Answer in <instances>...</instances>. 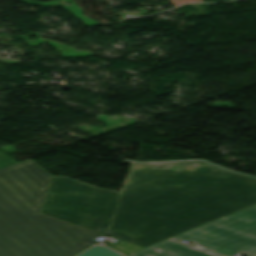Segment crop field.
Masks as SVG:
<instances>
[{
  "instance_id": "crop-field-1",
  "label": "crop field",
  "mask_w": 256,
  "mask_h": 256,
  "mask_svg": "<svg viewBox=\"0 0 256 256\" xmlns=\"http://www.w3.org/2000/svg\"><path fill=\"white\" fill-rule=\"evenodd\" d=\"M254 204L256 178L203 161L135 163L106 234L146 247Z\"/></svg>"
},
{
  "instance_id": "crop-field-2",
  "label": "crop field",
  "mask_w": 256,
  "mask_h": 256,
  "mask_svg": "<svg viewBox=\"0 0 256 256\" xmlns=\"http://www.w3.org/2000/svg\"><path fill=\"white\" fill-rule=\"evenodd\" d=\"M51 178L31 159L0 169V256H75L102 235L40 214Z\"/></svg>"
},
{
  "instance_id": "crop-field-3",
  "label": "crop field",
  "mask_w": 256,
  "mask_h": 256,
  "mask_svg": "<svg viewBox=\"0 0 256 256\" xmlns=\"http://www.w3.org/2000/svg\"><path fill=\"white\" fill-rule=\"evenodd\" d=\"M121 195L54 176L42 214L105 234Z\"/></svg>"
},
{
  "instance_id": "crop-field-4",
  "label": "crop field",
  "mask_w": 256,
  "mask_h": 256,
  "mask_svg": "<svg viewBox=\"0 0 256 256\" xmlns=\"http://www.w3.org/2000/svg\"><path fill=\"white\" fill-rule=\"evenodd\" d=\"M170 239L188 240L219 256H256V205Z\"/></svg>"
},
{
  "instance_id": "crop-field-5",
  "label": "crop field",
  "mask_w": 256,
  "mask_h": 256,
  "mask_svg": "<svg viewBox=\"0 0 256 256\" xmlns=\"http://www.w3.org/2000/svg\"><path fill=\"white\" fill-rule=\"evenodd\" d=\"M128 256H215L196 248L167 239Z\"/></svg>"
},
{
  "instance_id": "crop-field-6",
  "label": "crop field",
  "mask_w": 256,
  "mask_h": 256,
  "mask_svg": "<svg viewBox=\"0 0 256 256\" xmlns=\"http://www.w3.org/2000/svg\"><path fill=\"white\" fill-rule=\"evenodd\" d=\"M80 256H123L113 250L105 248L103 246H95Z\"/></svg>"
}]
</instances>
